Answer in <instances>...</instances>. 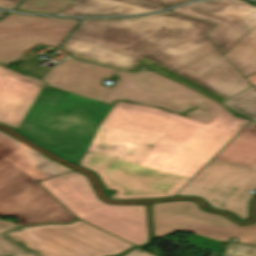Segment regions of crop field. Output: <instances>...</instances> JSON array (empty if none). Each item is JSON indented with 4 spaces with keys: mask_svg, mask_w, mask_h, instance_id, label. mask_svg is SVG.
<instances>
[{
    "mask_svg": "<svg viewBox=\"0 0 256 256\" xmlns=\"http://www.w3.org/2000/svg\"><path fill=\"white\" fill-rule=\"evenodd\" d=\"M250 121L210 123L53 88L0 65V123L95 172L112 199L174 197Z\"/></svg>",
    "mask_w": 256,
    "mask_h": 256,
    "instance_id": "obj_1",
    "label": "crop field"
},
{
    "mask_svg": "<svg viewBox=\"0 0 256 256\" xmlns=\"http://www.w3.org/2000/svg\"><path fill=\"white\" fill-rule=\"evenodd\" d=\"M215 26L171 11L130 19H83L61 50L122 70L145 65L223 102L251 85L206 35Z\"/></svg>",
    "mask_w": 256,
    "mask_h": 256,
    "instance_id": "obj_2",
    "label": "crop field"
},
{
    "mask_svg": "<svg viewBox=\"0 0 256 256\" xmlns=\"http://www.w3.org/2000/svg\"><path fill=\"white\" fill-rule=\"evenodd\" d=\"M73 172L0 132V233L42 222H70L76 217L36 182Z\"/></svg>",
    "mask_w": 256,
    "mask_h": 256,
    "instance_id": "obj_3",
    "label": "crop field"
},
{
    "mask_svg": "<svg viewBox=\"0 0 256 256\" xmlns=\"http://www.w3.org/2000/svg\"><path fill=\"white\" fill-rule=\"evenodd\" d=\"M80 220L131 244L148 241L145 205L115 206L98 200L76 172L38 182Z\"/></svg>",
    "mask_w": 256,
    "mask_h": 256,
    "instance_id": "obj_4",
    "label": "crop field"
},
{
    "mask_svg": "<svg viewBox=\"0 0 256 256\" xmlns=\"http://www.w3.org/2000/svg\"><path fill=\"white\" fill-rule=\"evenodd\" d=\"M39 256H112L133 245L80 220L69 225H44L7 233Z\"/></svg>",
    "mask_w": 256,
    "mask_h": 256,
    "instance_id": "obj_5",
    "label": "crop field"
},
{
    "mask_svg": "<svg viewBox=\"0 0 256 256\" xmlns=\"http://www.w3.org/2000/svg\"><path fill=\"white\" fill-rule=\"evenodd\" d=\"M121 78L107 95L104 102L132 100L159 106L181 113L192 106L197 109L186 114L188 117L210 122L224 106L150 71L127 73L117 71ZM206 122V123H207Z\"/></svg>",
    "mask_w": 256,
    "mask_h": 256,
    "instance_id": "obj_6",
    "label": "crop field"
},
{
    "mask_svg": "<svg viewBox=\"0 0 256 256\" xmlns=\"http://www.w3.org/2000/svg\"><path fill=\"white\" fill-rule=\"evenodd\" d=\"M77 24L76 19L12 13L0 21V63L9 65L15 60H24L14 69L27 75L41 76L45 68L37 64L42 60L24 52L37 42L59 47Z\"/></svg>",
    "mask_w": 256,
    "mask_h": 256,
    "instance_id": "obj_7",
    "label": "crop field"
},
{
    "mask_svg": "<svg viewBox=\"0 0 256 256\" xmlns=\"http://www.w3.org/2000/svg\"><path fill=\"white\" fill-rule=\"evenodd\" d=\"M256 191V163L243 168L212 160L176 196L203 199L213 209L249 219V205Z\"/></svg>",
    "mask_w": 256,
    "mask_h": 256,
    "instance_id": "obj_8",
    "label": "crop field"
},
{
    "mask_svg": "<svg viewBox=\"0 0 256 256\" xmlns=\"http://www.w3.org/2000/svg\"><path fill=\"white\" fill-rule=\"evenodd\" d=\"M152 214L155 238L182 229L220 242L235 237L240 238V243L256 245V223L237 225L221 215L205 212L192 201L153 204Z\"/></svg>",
    "mask_w": 256,
    "mask_h": 256,
    "instance_id": "obj_9",
    "label": "crop field"
},
{
    "mask_svg": "<svg viewBox=\"0 0 256 256\" xmlns=\"http://www.w3.org/2000/svg\"><path fill=\"white\" fill-rule=\"evenodd\" d=\"M171 11L217 23L207 35L224 53L256 27V8L242 0L199 2Z\"/></svg>",
    "mask_w": 256,
    "mask_h": 256,
    "instance_id": "obj_10",
    "label": "crop field"
},
{
    "mask_svg": "<svg viewBox=\"0 0 256 256\" xmlns=\"http://www.w3.org/2000/svg\"><path fill=\"white\" fill-rule=\"evenodd\" d=\"M115 70L69 59L43 78L49 85L102 101L110 88L100 86Z\"/></svg>",
    "mask_w": 256,
    "mask_h": 256,
    "instance_id": "obj_11",
    "label": "crop field"
},
{
    "mask_svg": "<svg viewBox=\"0 0 256 256\" xmlns=\"http://www.w3.org/2000/svg\"><path fill=\"white\" fill-rule=\"evenodd\" d=\"M161 9L163 8L134 0H75L58 14L68 16H104L146 13Z\"/></svg>",
    "mask_w": 256,
    "mask_h": 256,
    "instance_id": "obj_12",
    "label": "crop field"
},
{
    "mask_svg": "<svg viewBox=\"0 0 256 256\" xmlns=\"http://www.w3.org/2000/svg\"><path fill=\"white\" fill-rule=\"evenodd\" d=\"M214 159L251 167L256 162V123H249Z\"/></svg>",
    "mask_w": 256,
    "mask_h": 256,
    "instance_id": "obj_13",
    "label": "crop field"
},
{
    "mask_svg": "<svg viewBox=\"0 0 256 256\" xmlns=\"http://www.w3.org/2000/svg\"><path fill=\"white\" fill-rule=\"evenodd\" d=\"M224 56L244 78L256 72V28L227 51Z\"/></svg>",
    "mask_w": 256,
    "mask_h": 256,
    "instance_id": "obj_14",
    "label": "crop field"
},
{
    "mask_svg": "<svg viewBox=\"0 0 256 256\" xmlns=\"http://www.w3.org/2000/svg\"><path fill=\"white\" fill-rule=\"evenodd\" d=\"M232 109L256 120V87L253 86L223 102Z\"/></svg>",
    "mask_w": 256,
    "mask_h": 256,
    "instance_id": "obj_15",
    "label": "crop field"
},
{
    "mask_svg": "<svg viewBox=\"0 0 256 256\" xmlns=\"http://www.w3.org/2000/svg\"><path fill=\"white\" fill-rule=\"evenodd\" d=\"M72 1L73 0H26L16 10L33 13L56 14Z\"/></svg>",
    "mask_w": 256,
    "mask_h": 256,
    "instance_id": "obj_16",
    "label": "crop field"
},
{
    "mask_svg": "<svg viewBox=\"0 0 256 256\" xmlns=\"http://www.w3.org/2000/svg\"><path fill=\"white\" fill-rule=\"evenodd\" d=\"M38 256L36 253L27 252L22 247L11 241L5 235H0V256Z\"/></svg>",
    "mask_w": 256,
    "mask_h": 256,
    "instance_id": "obj_17",
    "label": "crop field"
},
{
    "mask_svg": "<svg viewBox=\"0 0 256 256\" xmlns=\"http://www.w3.org/2000/svg\"><path fill=\"white\" fill-rule=\"evenodd\" d=\"M228 249L240 251L245 256H256V247L230 243Z\"/></svg>",
    "mask_w": 256,
    "mask_h": 256,
    "instance_id": "obj_18",
    "label": "crop field"
},
{
    "mask_svg": "<svg viewBox=\"0 0 256 256\" xmlns=\"http://www.w3.org/2000/svg\"><path fill=\"white\" fill-rule=\"evenodd\" d=\"M139 1L147 2L156 6L166 8V7H170V6L187 2L190 0H139Z\"/></svg>",
    "mask_w": 256,
    "mask_h": 256,
    "instance_id": "obj_19",
    "label": "crop field"
},
{
    "mask_svg": "<svg viewBox=\"0 0 256 256\" xmlns=\"http://www.w3.org/2000/svg\"><path fill=\"white\" fill-rule=\"evenodd\" d=\"M22 0H0V8L12 9Z\"/></svg>",
    "mask_w": 256,
    "mask_h": 256,
    "instance_id": "obj_20",
    "label": "crop field"
},
{
    "mask_svg": "<svg viewBox=\"0 0 256 256\" xmlns=\"http://www.w3.org/2000/svg\"><path fill=\"white\" fill-rule=\"evenodd\" d=\"M126 256H154V255L150 253H146L142 250L136 249L134 251L129 252Z\"/></svg>",
    "mask_w": 256,
    "mask_h": 256,
    "instance_id": "obj_21",
    "label": "crop field"
},
{
    "mask_svg": "<svg viewBox=\"0 0 256 256\" xmlns=\"http://www.w3.org/2000/svg\"><path fill=\"white\" fill-rule=\"evenodd\" d=\"M251 85L256 86V73L246 78Z\"/></svg>",
    "mask_w": 256,
    "mask_h": 256,
    "instance_id": "obj_22",
    "label": "crop field"
},
{
    "mask_svg": "<svg viewBox=\"0 0 256 256\" xmlns=\"http://www.w3.org/2000/svg\"><path fill=\"white\" fill-rule=\"evenodd\" d=\"M227 255H229V256H244V255H243L242 253H240V252L231 251V250H228Z\"/></svg>",
    "mask_w": 256,
    "mask_h": 256,
    "instance_id": "obj_23",
    "label": "crop field"
},
{
    "mask_svg": "<svg viewBox=\"0 0 256 256\" xmlns=\"http://www.w3.org/2000/svg\"><path fill=\"white\" fill-rule=\"evenodd\" d=\"M3 14H4V13H1V12H0V18H1V16H2Z\"/></svg>",
    "mask_w": 256,
    "mask_h": 256,
    "instance_id": "obj_24",
    "label": "crop field"
}]
</instances>
